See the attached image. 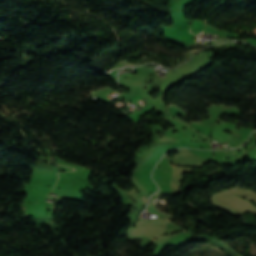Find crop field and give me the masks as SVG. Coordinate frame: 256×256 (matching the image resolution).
<instances>
[{"mask_svg": "<svg viewBox=\"0 0 256 256\" xmlns=\"http://www.w3.org/2000/svg\"><path fill=\"white\" fill-rule=\"evenodd\" d=\"M166 222L167 221L157 219V218L154 219L153 222L138 220L137 224L133 228L132 227L129 228V235H130L131 228H132V232L130 236L158 235L164 231ZM141 237L142 236H136V237L128 236V238L139 239V240Z\"/></svg>", "mask_w": 256, "mask_h": 256, "instance_id": "obj_1", "label": "crop field"}, {"mask_svg": "<svg viewBox=\"0 0 256 256\" xmlns=\"http://www.w3.org/2000/svg\"><path fill=\"white\" fill-rule=\"evenodd\" d=\"M152 178L154 179V181L160 187V168H155L154 169V171L152 173ZM157 194H160V189H159V192Z\"/></svg>", "mask_w": 256, "mask_h": 256, "instance_id": "obj_2", "label": "crop field"}, {"mask_svg": "<svg viewBox=\"0 0 256 256\" xmlns=\"http://www.w3.org/2000/svg\"><path fill=\"white\" fill-rule=\"evenodd\" d=\"M178 154H192V153L187 149H182V150H178Z\"/></svg>", "mask_w": 256, "mask_h": 256, "instance_id": "obj_3", "label": "crop field"}]
</instances>
